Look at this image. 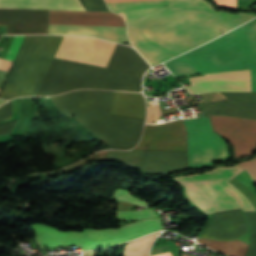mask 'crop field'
<instances>
[{
	"label": "crop field",
	"mask_w": 256,
	"mask_h": 256,
	"mask_svg": "<svg viewBox=\"0 0 256 256\" xmlns=\"http://www.w3.org/2000/svg\"><path fill=\"white\" fill-rule=\"evenodd\" d=\"M251 226V243L246 256H256V212H244Z\"/></svg>",
	"instance_id": "a9b5d70f"
},
{
	"label": "crop field",
	"mask_w": 256,
	"mask_h": 256,
	"mask_svg": "<svg viewBox=\"0 0 256 256\" xmlns=\"http://www.w3.org/2000/svg\"><path fill=\"white\" fill-rule=\"evenodd\" d=\"M48 24L125 27L114 13L49 10Z\"/></svg>",
	"instance_id": "5142ce71"
},
{
	"label": "crop field",
	"mask_w": 256,
	"mask_h": 256,
	"mask_svg": "<svg viewBox=\"0 0 256 256\" xmlns=\"http://www.w3.org/2000/svg\"><path fill=\"white\" fill-rule=\"evenodd\" d=\"M41 248L81 245L82 250L107 248L157 230H163L160 218L146 219L118 229H89L84 232H60L44 224L30 225Z\"/></svg>",
	"instance_id": "e52e79f7"
},
{
	"label": "crop field",
	"mask_w": 256,
	"mask_h": 256,
	"mask_svg": "<svg viewBox=\"0 0 256 256\" xmlns=\"http://www.w3.org/2000/svg\"><path fill=\"white\" fill-rule=\"evenodd\" d=\"M87 11L110 12L103 0H81Z\"/></svg>",
	"instance_id": "eef30255"
},
{
	"label": "crop field",
	"mask_w": 256,
	"mask_h": 256,
	"mask_svg": "<svg viewBox=\"0 0 256 256\" xmlns=\"http://www.w3.org/2000/svg\"><path fill=\"white\" fill-rule=\"evenodd\" d=\"M48 10L0 9V24L8 25V34L47 33Z\"/></svg>",
	"instance_id": "22f410ed"
},
{
	"label": "crop field",
	"mask_w": 256,
	"mask_h": 256,
	"mask_svg": "<svg viewBox=\"0 0 256 256\" xmlns=\"http://www.w3.org/2000/svg\"><path fill=\"white\" fill-rule=\"evenodd\" d=\"M48 34L91 35L115 42L129 43L126 28L48 25Z\"/></svg>",
	"instance_id": "733c2abd"
},
{
	"label": "crop field",
	"mask_w": 256,
	"mask_h": 256,
	"mask_svg": "<svg viewBox=\"0 0 256 256\" xmlns=\"http://www.w3.org/2000/svg\"><path fill=\"white\" fill-rule=\"evenodd\" d=\"M112 199L126 201V202H132V203H137V204H142V205H148L149 206L148 202L132 196L129 193V191L120 190V189L116 190V192H115V194H114Z\"/></svg>",
	"instance_id": "730fd06b"
},
{
	"label": "crop field",
	"mask_w": 256,
	"mask_h": 256,
	"mask_svg": "<svg viewBox=\"0 0 256 256\" xmlns=\"http://www.w3.org/2000/svg\"><path fill=\"white\" fill-rule=\"evenodd\" d=\"M121 13L134 48L156 66L254 17L215 11L205 0H156L108 4Z\"/></svg>",
	"instance_id": "8a807250"
},
{
	"label": "crop field",
	"mask_w": 256,
	"mask_h": 256,
	"mask_svg": "<svg viewBox=\"0 0 256 256\" xmlns=\"http://www.w3.org/2000/svg\"><path fill=\"white\" fill-rule=\"evenodd\" d=\"M0 8H37L85 11L79 0H0Z\"/></svg>",
	"instance_id": "bc2a9ffb"
},
{
	"label": "crop field",
	"mask_w": 256,
	"mask_h": 256,
	"mask_svg": "<svg viewBox=\"0 0 256 256\" xmlns=\"http://www.w3.org/2000/svg\"><path fill=\"white\" fill-rule=\"evenodd\" d=\"M188 140L189 168H203L230 158L226 143L213 132L209 118L184 120Z\"/></svg>",
	"instance_id": "d8731c3e"
},
{
	"label": "crop field",
	"mask_w": 256,
	"mask_h": 256,
	"mask_svg": "<svg viewBox=\"0 0 256 256\" xmlns=\"http://www.w3.org/2000/svg\"><path fill=\"white\" fill-rule=\"evenodd\" d=\"M63 36H26L0 98L37 95Z\"/></svg>",
	"instance_id": "dd49c442"
},
{
	"label": "crop field",
	"mask_w": 256,
	"mask_h": 256,
	"mask_svg": "<svg viewBox=\"0 0 256 256\" xmlns=\"http://www.w3.org/2000/svg\"><path fill=\"white\" fill-rule=\"evenodd\" d=\"M187 152L146 151L141 170L144 173L170 174L188 169Z\"/></svg>",
	"instance_id": "d9b57169"
},
{
	"label": "crop field",
	"mask_w": 256,
	"mask_h": 256,
	"mask_svg": "<svg viewBox=\"0 0 256 256\" xmlns=\"http://www.w3.org/2000/svg\"><path fill=\"white\" fill-rule=\"evenodd\" d=\"M210 1H212V0H210Z\"/></svg>",
	"instance_id": "e1f06a70"
},
{
	"label": "crop field",
	"mask_w": 256,
	"mask_h": 256,
	"mask_svg": "<svg viewBox=\"0 0 256 256\" xmlns=\"http://www.w3.org/2000/svg\"><path fill=\"white\" fill-rule=\"evenodd\" d=\"M133 150L187 151L182 119L161 125H145L142 140Z\"/></svg>",
	"instance_id": "28ad6ade"
},
{
	"label": "crop field",
	"mask_w": 256,
	"mask_h": 256,
	"mask_svg": "<svg viewBox=\"0 0 256 256\" xmlns=\"http://www.w3.org/2000/svg\"><path fill=\"white\" fill-rule=\"evenodd\" d=\"M248 170L251 176L256 180V157L252 160L238 163Z\"/></svg>",
	"instance_id": "ae1a2a85"
},
{
	"label": "crop field",
	"mask_w": 256,
	"mask_h": 256,
	"mask_svg": "<svg viewBox=\"0 0 256 256\" xmlns=\"http://www.w3.org/2000/svg\"><path fill=\"white\" fill-rule=\"evenodd\" d=\"M11 118V100L0 107V121Z\"/></svg>",
	"instance_id": "d3111659"
},
{
	"label": "crop field",
	"mask_w": 256,
	"mask_h": 256,
	"mask_svg": "<svg viewBox=\"0 0 256 256\" xmlns=\"http://www.w3.org/2000/svg\"><path fill=\"white\" fill-rule=\"evenodd\" d=\"M158 256H171L170 253L167 254H162V255H158Z\"/></svg>",
	"instance_id": "d32e631a"
},
{
	"label": "crop field",
	"mask_w": 256,
	"mask_h": 256,
	"mask_svg": "<svg viewBox=\"0 0 256 256\" xmlns=\"http://www.w3.org/2000/svg\"><path fill=\"white\" fill-rule=\"evenodd\" d=\"M115 45L90 37L64 36L55 57L105 67Z\"/></svg>",
	"instance_id": "5a996713"
},
{
	"label": "crop field",
	"mask_w": 256,
	"mask_h": 256,
	"mask_svg": "<svg viewBox=\"0 0 256 256\" xmlns=\"http://www.w3.org/2000/svg\"><path fill=\"white\" fill-rule=\"evenodd\" d=\"M228 100L201 105L208 115L256 120V93H221Z\"/></svg>",
	"instance_id": "cbeb9de0"
},
{
	"label": "crop field",
	"mask_w": 256,
	"mask_h": 256,
	"mask_svg": "<svg viewBox=\"0 0 256 256\" xmlns=\"http://www.w3.org/2000/svg\"><path fill=\"white\" fill-rule=\"evenodd\" d=\"M17 121L18 120H15V121L0 125V135L9 134L11 132V130L13 129V127L15 126Z\"/></svg>",
	"instance_id": "750c4746"
},
{
	"label": "crop field",
	"mask_w": 256,
	"mask_h": 256,
	"mask_svg": "<svg viewBox=\"0 0 256 256\" xmlns=\"http://www.w3.org/2000/svg\"><path fill=\"white\" fill-rule=\"evenodd\" d=\"M214 131L219 132L234 147L235 158L256 150V121L222 116H209Z\"/></svg>",
	"instance_id": "3316defc"
},
{
	"label": "crop field",
	"mask_w": 256,
	"mask_h": 256,
	"mask_svg": "<svg viewBox=\"0 0 256 256\" xmlns=\"http://www.w3.org/2000/svg\"><path fill=\"white\" fill-rule=\"evenodd\" d=\"M106 3H114V2H128V1H142V0H105Z\"/></svg>",
	"instance_id": "120bbe31"
},
{
	"label": "crop field",
	"mask_w": 256,
	"mask_h": 256,
	"mask_svg": "<svg viewBox=\"0 0 256 256\" xmlns=\"http://www.w3.org/2000/svg\"><path fill=\"white\" fill-rule=\"evenodd\" d=\"M219 6H236V0H216Z\"/></svg>",
	"instance_id": "bd1437ed"
},
{
	"label": "crop field",
	"mask_w": 256,
	"mask_h": 256,
	"mask_svg": "<svg viewBox=\"0 0 256 256\" xmlns=\"http://www.w3.org/2000/svg\"><path fill=\"white\" fill-rule=\"evenodd\" d=\"M189 78L191 94L212 91H251L249 70L211 73Z\"/></svg>",
	"instance_id": "d1516ede"
},
{
	"label": "crop field",
	"mask_w": 256,
	"mask_h": 256,
	"mask_svg": "<svg viewBox=\"0 0 256 256\" xmlns=\"http://www.w3.org/2000/svg\"><path fill=\"white\" fill-rule=\"evenodd\" d=\"M115 92L80 90L52 97L67 115L73 116L111 149H131L141 135L144 120L109 115Z\"/></svg>",
	"instance_id": "f4fd0767"
},
{
	"label": "crop field",
	"mask_w": 256,
	"mask_h": 256,
	"mask_svg": "<svg viewBox=\"0 0 256 256\" xmlns=\"http://www.w3.org/2000/svg\"><path fill=\"white\" fill-rule=\"evenodd\" d=\"M161 111H162V114L165 115V114L176 112L178 111V109L176 107H172V108L163 109Z\"/></svg>",
	"instance_id": "1d83c4d3"
},
{
	"label": "crop field",
	"mask_w": 256,
	"mask_h": 256,
	"mask_svg": "<svg viewBox=\"0 0 256 256\" xmlns=\"http://www.w3.org/2000/svg\"><path fill=\"white\" fill-rule=\"evenodd\" d=\"M182 256H186V255H182Z\"/></svg>",
	"instance_id": "028f5c9d"
},
{
	"label": "crop field",
	"mask_w": 256,
	"mask_h": 256,
	"mask_svg": "<svg viewBox=\"0 0 256 256\" xmlns=\"http://www.w3.org/2000/svg\"><path fill=\"white\" fill-rule=\"evenodd\" d=\"M145 151L137 152H121V151H110L104 159H119L131 167L141 166L142 159Z\"/></svg>",
	"instance_id": "dafd665d"
},
{
	"label": "crop field",
	"mask_w": 256,
	"mask_h": 256,
	"mask_svg": "<svg viewBox=\"0 0 256 256\" xmlns=\"http://www.w3.org/2000/svg\"><path fill=\"white\" fill-rule=\"evenodd\" d=\"M158 234L154 233L125 245L124 256H148L149 248Z\"/></svg>",
	"instance_id": "92a150f3"
},
{
	"label": "crop field",
	"mask_w": 256,
	"mask_h": 256,
	"mask_svg": "<svg viewBox=\"0 0 256 256\" xmlns=\"http://www.w3.org/2000/svg\"><path fill=\"white\" fill-rule=\"evenodd\" d=\"M110 114L144 119L145 103L143 95L116 92Z\"/></svg>",
	"instance_id": "4a817a6b"
},
{
	"label": "crop field",
	"mask_w": 256,
	"mask_h": 256,
	"mask_svg": "<svg viewBox=\"0 0 256 256\" xmlns=\"http://www.w3.org/2000/svg\"><path fill=\"white\" fill-rule=\"evenodd\" d=\"M4 102H6V101L0 100V105H1L2 103H4Z\"/></svg>",
	"instance_id": "5866460e"
},
{
	"label": "crop field",
	"mask_w": 256,
	"mask_h": 256,
	"mask_svg": "<svg viewBox=\"0 0 256 256\" xmlns=\"http://www.w3.org/2000/svg\"><path fill=\"white\" fill-rule=\"evenodd\" d=\"M157 217V213L150 209L118 213L117 220Z\"/></svg>",
	"instance_id": "4177f3b9"
},
{
	"label": "crop field",
	"mask_w": 256,
	"mask_h": 256,
	"mask_svg": "<svg viewBox=\"0 0 256 256\" xmlns=\"http://www.w3.org/2000/svg\"><path fill=\"white\" fill-rule=\"evenodd\" d=\"M197 242L204 244L227 256H245L249 244L239 239L232 241H215L210 239L198 238Z\"/></svg>",
	"instance_id": "214f88e0"
},
{
	"label": "crop field",
	"mask_w": 256,
	"mask_h": 256,
	"mask_svg": "<svg viewBox=\"0 0 256 256\" xmlns=\"http://www.w3.org/2000/svg\"><path fill=\"white\" fill-rule=\"evenodd\" d=\"M177 77L250 69L256 91V19L165 63Z\"/></svg>",
	"instance_id": "412701ff"
},
{
	"label": "crop field",
	"mask_w": 256,
	"mask_h": 256,
	"mask_svg": "<svg viewBox=\"0 0 256 256\" xmlns=\"http://www.w3.org/2000/svg\"><path fill=\"white\" fill-rule=\"evenodd\" d=\"M149 65L132 48L117 44L106 69L54 59L37 96H52L80 88L141 91Z\"/></svg>",
	"instance_id": "34b2d1b8"
},
{
	"label": "crop field",
	"mask_w": 256,
	"mask_h": 256,
	"mask_svg": "<svg viewBox=\"0 0 256 256\" xmlns=\"http://www.w3.org/2000/svg\"><path fill=\"white\" fill-rule=\"evenodd\" d=\"M23 38H24V36H15V38L9 48V51L5 57L6 59L13 61ZM6 59L0 58V69L8 71L12 64V61H9Z\"/></svg>",
	"instance_id": "00972430"
},
{
	"label": "crop field",
	"mask_w": 256,
	"mask_h": 256,
	"mask_svg": "<svg viewBox=\"0 0 256 256\" xmlns=\"http://www.w3.org/2000/svg\"><path fill=\"white\" fill-rule=\"evenodd\" d=\"M244 170L233 165L219 167L195 175L175 177L186 187L189 200L201 210L211 213L241 208L256 211L249 200L227 181ZM232 192L236 199L230 192ZM249 226L239 210L213 213L201 236L213 239H234L247 233Z\"/></svg>",
	"instance_id": "ac0d7876"
}]
</instances>
